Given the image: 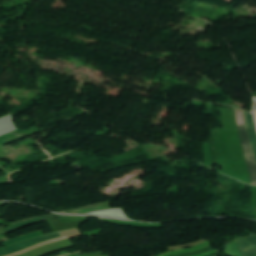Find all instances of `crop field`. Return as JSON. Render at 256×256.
Instances as JSON below:
<instances>
[{"mask_svg":"<svg viewBox=\"0 0 256 256\" xmlns=\"http://www.w3.org/2000/svg\"><path fill=\"white\" fill-rule=\"evenodd\" d=\"M235 118L237 121L238 129H239V135H240V141L241 145L245 154L250 178H251V184L256 185V161L253 155V151L251 149L250 141L247 134L246 129V122H245V114L243 110L233 108Z\"/></svg>","mask_w":256,"mask_h":256,"instance_id":"1","label":"crop field"},{"mask_svg":"<svg viewBox=\"0 0 256 256\" xmlns=\"http://www.w3.org/2000/svg\"><path fill=\"white\" fill-rule=\"evenodd\" d=\"M59 237H61V235L59 234V232H56V233H53V234H49V235H45V236L38 237V238H35V239H31V240H28L24 243L16 244V245L10 246L8 248L1 249L0 250V256L13 254V253L21 251L25 248H28L32 245L42 243V242H45L47 240L59 238Z\"/></svg>","mask_w":256,"mask_h":256,"instance_id":"2","label":"crop field"},{"mask_svg":"<svg viewBox=\"0 0 256 256\" xmlns=\"http://www.w3.org/2000/svg\"><path fill=\"white\" fill-rule=\"evenodd\" d=\"M58 217H64L62 215H57V214H52V215H46V216H41V217H36V218H32V219H28V220H24L25 222L22 223H18L15 224L11 227H8L6 229H3L5 232L9 233L12 232L18 228H21L23 226L38 222V221H42V220H46V219H51V218H58Z\"/></svg>","mask_w":256,"mask_h":256,"instance_id":"3","label":"crop field"},{"mask_svg":"<svg viewBox=\"0 0 256 256\" xmlns=\"http://www.w3.org/2000/svg\"><path fill=\"white\" fill-rule=\"evenodd\" d=\"M246 114V122H247V129H248V134H249V138L253 147V151L256 157V127H255V123L253 120V116L247 112H245Z\"/></svg>","mask_w":256,"mask_h":256,"instance_id":"4","label":"crop field"},{"mask_svg":"<svg viewBox=\"0 0 256 256\" xmlns=\"http://www.w3.org/2000/svg\"><path fill=\"white\" fill-rule=\"evenodd\" d=\"M246 256H256V236L242 239Z\"/></svg>","mask_w":256,"mask_h":256,"instance_id":"5","label":"crop field"},{"mask_svg":"<svg viewBox=\"0 0 256 256\" xmlns=\"http://www.w3.org/2000/svg\"><path fill=\"white\" fill-rule=\"evenodd\" d=\"M211 245L209 241L204 242L194 248H190V249H181V250H176V251H172L170 253L167 254H163V255H159V256H175V255H179V254H183V253H188V252H193V251H197L201 248L207 247Z\"/></svg>","mask_w":256,"mask_h":256,"instance_id":"6","label":"crop field"},{"mask_svg":"<svg viewBox=\"0 0 256 256\" xmlns=\"http://www.w3.org/2000/svg\"><path fill=\"white\" fill-rule=\"evenodd\" d=\"M38 236H42L41 231L35 232V233H32V234H29V235H25V236H22V237H19V238L10 240V241H7V242H5L4 244H5L6 246H9V245L15 244V243H17V242L24 241V240H28V239H31V238H35V237H38Z\"/></svg>","mask_w":256,"mask_h":256,"instance_id":"7","label":"crop field"},{"mask_svg":"<svg viewBox=\"0 0 256 256\" xmlns=\"http://www.w3.org/2000/svg\"><path fill=\"white\" fill-rule=\"evenodd\" d=\"M100 209H102L101 204L94 205V206H89V207H85V208H81V209H77V210L66 211V212H62V213L80 214V213H85V212H90V211H95V210H100Z\"/></svg>","mask_w":256,"mask_h":256,"instance_id":"8","label":"crop field"},{"mask_svg":"<svg viewBox=\"0 0 256 256\" xmlns=\"http://www.w3.org/2000/svg\"><path fill=\"white\" fill-rule=\"evenodd\" d=\"M216 253H217V250H215V251H213L211 253H207V254L201 255V256H212V255H214Z\"/></svg>","mask_w":256,"mask_h":256,"instance_id":"9","label":"crop field"},{"mask_svg":"<svg viewBox=\"0 0 256 256\" xmlns=\"http://www.w3.org/2000/svg\"><path fill=\"white\" fill-rule=\"evenodd\" d=\"M254 115H255V120H256V111H254Z\"/></svg>","mask_w":256,"mask_h":256,"instance_id":"10","label":"crop field"}]
</instances>
